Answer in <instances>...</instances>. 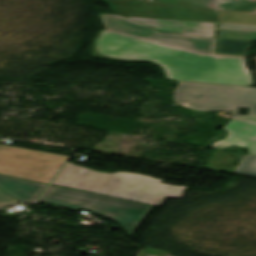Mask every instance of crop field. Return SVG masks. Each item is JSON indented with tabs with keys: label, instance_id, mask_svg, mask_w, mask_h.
I'll return each instance as SVG.
<instances>
[{
	"label": "crop field",
	"instance_id": "crop-field-6",
	"mask_svg": "<svg viewBox=\"0 0 256 256\" xmlns=\"http://www.w3.org/2000/svg\"><path fill=\"white\" fill-rule=\"evenodd\" d=\"M67 158L0 145V174L50 184Z\"/></svg>",
	"mask_w": 256,
	"mask_h": 256
},
{
	"label": "crop field",
	"instance_id": "crop-field-13",
	"mask_svg": "<svg viewBox=\"0 0 256 256\" xmlns=\"http://www.w3.org/2000/svg\"><path fill=\"white\" fill-rule=\"evenodd\" d=\"M255 7L256 0H220L218 10L252 11Z\"/></svg>",
	"mask_w": 256,
	"mask_h": 256
},
{
	"label": "crop field",
	"instance_id": "crop-field-4",
	"mask_svg": "<svg viewBox=\"0 0 256 256\" xmlns=\"http://www.w3.org/2000/svg\"><path fill=\"white\" fill-rule=\"evenodd\" d=\"M173 100L198 111H233L235 119L256 124V88L179 82ZM249 108L248 116L238 115Z\"/></svg>",
	"mask_w": 256,
	"mask_h": 256
},
{
	"label": "crop field",
	"instance_id": "crop-field-17",
	"mask_svg": "<svg viewBox=\"0 0 256 256\" xmlns=\"http://www.w3.org/2000/svg\"><path fill=\"white\" fill-rule=\"evenodd\" d=\"M15 202H18V201L0 190V207L11 204V203H15Z\"/></svg>",
	"mask_w": 256,
	"mask_h": 256
},
{
	"label": "crop field",
	"instance_id": "crop-field-3",
	"mask_svg": "<svg viewBox=\"0 0 256 256\" xmlns=\"http://www.w3.org/2000/svg\"><path fill=\"white\" fill-rule=\"evenodd\" d=\"M40 202L76 211L84 209L106 217L118 222L130 236L154 208L153 206L54 185L50 186Z\"/></svg>",
	"mask_w": 256,
	"mask_h": 256
},
{
	"label": "crop field",
	"instance_id": "crop-field-10",
	"mask_svg": "<svg viewBox=\"0 0 256 256\" xmlns=\"http://www.w3.org/2000/svg\"><path fill=\"white\" fill-rule=\"evenodd\" d=\"M46 184L0 175V189L20 202L37 201Z\"/></svg>",
	"mask_w": 256,
	"mask_h": 256
},
{
	"label": "crop field",
	"instance_id": "crop-field-14",
	"mask_svg": "<svg viewBox=\"0 0 256 256\" xmlns=\"http://www.w3.org/2000/svg\"><path fill=\"white\" fill-rule=\"evenodd\" d=\"M234 174L256 178V156L243 157Z\"/></svg>",
	"mask_w": 256,
	"mask_h": 256
},
{
	"label": "crop field",
	"instance_id": "crop-field-1",
	"mask_svg": "<svg viewBox=\"0 0 256 256\" xmlns=\"http://www.w3.org/2000/svg\"><path fill=\"white\" fill-rule=\"evenodd\" d=\"M93 58L120 62H150L173 81L252 85L244 58L198 54L101 30L93 40Z\"/></svg>",
	"mask_w": 256,
	"mask_h": 256
},
{
	"label": "crop field",
	"instance_id": "crop-field-15",
	"mask_svg": "<svg viewBox=\"0 0 256 256\" xmlns=\"http://www.w3.org/2000/svg\"><path fill=\"white\" fill-rule=\"evenodd\" d=\"M219 37L254 41L256 32L220 29Z\"/></svg>",
	"mask_w": 256,
	"mask_h": 256
},
{
	"label": "crop field",
	"instance_id": "crop-field-16",
	"mask_svg": "<svg viewBox=\"0 0 256 256\" xmlns=\"http://www.w3.org/2000/svg\"><path fill=\"white\" fill-rule=\"evenodd\" d=\"M220 28L256 30V26H253V25H239V24H226V23H220Z\"/></svg>",
	"mask_w": 256,
	"mask_h": 256
},
{
	"label": "crop field",
	"instance_id": "crop-field-11",
	"mask_svg": "<svg viewBox=\"0 0 256 256\" xmlns=\"http://www.w3.org/2000/svg\"><path fill=\"white\" fill-rule=\"evenodd\" d=\"M252 42L218 38L217 52L246 56Z\"/></svg>",
	"mask_w": 256,
	"mask_h": 256
},
{
	"label": "crop field",
	"instance_id": "crop-field-8",
	"mask_svg": "<svg viewBox=\"0 0 256 256\" xmlns=\"http://www.w3.org/2000/svg\"><path fill=\"white\" fill-rule=\"evenodd\" d=\"M158 31L215 37L217 23L128 17Z\"/></svg>",
	"mask_w": 256,
	"mask_h": 256
},
{
	"label": "crop field",
	"instance_id": "crop-field-5",
	"mask_svg": "<svg viewBox=\"0 0 256 256\" xmlns=\"http://www.w3.org/2000/svg\"><path fill=\"white\" fill-rule=\"evenodd\" d=\"M116 14L217 22L219 0H103Z\"/></svg>",
	"mask_w": 256,
	"mask_h": 256
},
{
	"label": "crop field",
	"instance_id": "crop-field-9",
	"mask_svg": "<svg viewBox=\"0 0 256 256\" xmlns=\"http://www.w3.org/2000/svg\"><path fill=\"white\" fill-rule=\"evenodd\" d=\"M223 130L229 132L228 137L214 143L213 148L224 149L241 146L247 147L249 153L256 155V125L233 119Z\"/></svg>",
	"mask_w": 256,
	"mask_h": 256
},
{
	"label": "crop field",
	"instance_id": "crop-field-18",
	"mask_svg": "<svg viewBox=\"0 0 256 256\" xmlns=\"http://www.w3.org/2000/svg\"><path fill=\"white\" fill-rule=\"evenodd\" d=\"M153 256H157V255H153Z\"/></svg>",
	"mask_w": 256,
	"mask_h": 256
},
{
	"label": "crop field",
	"instance_id": "crop-field-2",
	"mask_svg": "<svg viewBox=\"0 0 256 256\" xmlns=\"http://www.w3.org/2000/svg\"><path fill=\"white\" fill-rule=\"evenodd\" d=\"M162 182L139 174L97 172L68 162L53 184L159 207L166 197L182 198L187 188Z\"/></svg>",
	"mask_w": 256,
	"mask_h": 256
},
{
	"label": "crop field",
	"instance_id": "crop-field-7",
	"mask_svg": "<svg viewBox=\"0 0 256 256\" xmlns=\"http://www.w3.org/2000/svg\"><path fill=\"white\" fill-rule=\"evenodd\" d=\"M105 29L110 31L198 52L215 54V38L159 34L145 25H141L120 15L99 14Z\"/></svg>",
	"mask_w": 256,
	"mask_h": 256
},
{
	"label": "crop field",
	"instance_id": "crop-field-12",
	"mask_svg": "<svg viewBox=\"0 0 256 256\" xmlns=\"http://www.w3.org/2000/svg\"><path fill=\"white\" fill-rule=\"evenodd\" d=\"M219 22L256 25V10L253 13L221 11Z\"/></svg>",
	"mask_w": 256,
	"mask_h": 256
}]
</instances>
